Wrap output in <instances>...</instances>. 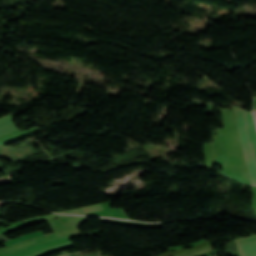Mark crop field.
<instances>
[{
	"label": "crop field",
	"mask_w": 256,
	"mask_h": 256,
	"mask_svg": "<svg viewBox=\"0 0 256 256\" xmlns=\"http://www.w3.org/2000/svg\"><path fill=\"white\" fill-rule=\"evenodd\" d=\"M246 256H256V236L242 239Z\"/></svg>",
	"instance_id": "5"
},
{
	"label": "crop field",
	"mask_w": 256,
	"mask_h": 256,
	"mask_svg": "<svg viewBox=\"0 0 256 256\" xmlns=\"http://www.w3.org/2000/svg\"><path fill=\"white\" fill-rule=\"evenodd\" d=\"M211 245L209 241L204 242L194 248H190V249H181V250H176V251H172L170 253L167 254H163V255H159V256H175V255H179V254H183V253H188V252H193V251H197L201 248L207 247Z\"/></svg>",
	"instance_id": "6"
},
{
	"label": "crop field",
	"mask_w": 256,
	"mask_h": 256,
	"mask_svg": "<svg viewBox=\"0 0 256 256\" xmlns=\"http://www.w3.org/2000/svg\"><path fill=\"white\" fill-rule=\"evenodd\" d=\"M59 237H61V235L59 234V232H56V233H53V234H49V235H45V236L38 237V238H35V239H31V240H28L24 243L16 244V245L10 246L8 248L1 249L0 250V256L13 254V253L21 251L25 248H28L32 245L42 243V242H45L47 240L59 238Z\"/></svg>",
	"instance_id": "2"
},
{
	"label": "crop field",
	"mask_w": 256,
	"mask_h": 256,
	"mask_svg": "<svg viewBox=\"0 0 256 256\" xmlns=\"http://www.w3.org/2000/svg\"><path fill=\"white\" fill-rule=\"evenodd\" d=\"M100 209H102L101 204L94 205V206H89V207H85V208H81V209H77V210L66 211V212H62V213L80 214V213H85V212H90V211H95V210H100Z\"/></svg>",
	"instance_id": "8"
},
{
	"label": "crop field",
	"mask_w": 256,
	"mask_h": 256,
	"mask_svg": "<svg viewBox=\"0 0 256 256\" xmlns=\"http://www.w3.org/2000/svg\"><path fill=\"white\" fill-rule=\"evenodd\" d=\"M246 114V122H247V129H248V134H249V138L253 147V151L256 157V127H255V123L253 120V116L247 112H245Z\"/></svg>",
	"instance_id": "4"
},
{
	"label": "crop field",
	"mask_w": 256,
	"mask_h": 256,
	"mask_svg": "<svg viewBox=\"0 0 256 256\" xmlns=\"http://www.w3.org/2000/svg\"><path fill=\"white\" fill-rule=\"evenodd\" d=\"M254 115H255V120H256V111H254Z\"/></svg>",
	"instance_id": "10"
},
{
	"label": "crop field",
	"mask_w": 256,
	"mask_h": 256,
	"mask_svg": "<svg viewBox=\"0 0 256 256\" xmlns=\"http://www.w3.org/2000/svg\"><path fill=\"white\" fill-rule=\"evenodd\" d=\"M235 118L237 121L238 129H239V135H240V141L241 145L245 154L250 178H251V184L256 185V161L253 155V151L251 149L250 141L247 134L246 129V122H245V114L243 110L233 108Z\"/></svg>",
	"instance_id": "1"
},
{
	"label": "crop field",
	"mask_w": 256,
	"mask_h": 256,
	"mask_svg": "<svg viewBox=\"0 0 256 256\" xmlns=\"http://www.w3.org/2000/svg\"><path fill=\"white\" fill-rule=\"evenodd\" d=\"M58 217H64L62 215H57V214H52V215H46V216H41V217H36V218H32V219H28V220H24L25 222L22 223H18L15 224L11 227H8L6 229H3L5 232L9 233L12 232L18 228H21L23 226L38 222V221H42V220H46V219H51V218H58Z\"/></svg>",
	"instance_id": "3"
},
{
	"label": "crop field",
	"mask_w": 256,
	"mask_h": 256,
	"mask_svg": "<svg viewBox=\"0 0 256 256\" xmlns=\"http://www.w3.org/2000/svg\"><path fill=\"white\" fill-rule=\"evenodd\" d=\"M216 253H217V250H215V251H213L211 253H207V254L201 255V256H212V255H214Z\"/></svg>",
	"instance_id": "9"
},
{
	"label": "crop field",
	"mask_w": 256,
	"mask_h": 256,
	"mask_svg": "<svg viewBox=\"0 0 256 256\" xmlns=\"http://www.w3.org/2000/svg\"><path fill=\"white\" fill-rule=\"evenodd\" d=\"M38 236H42L41 231L35 232V233H32V234H29V235H25V236H22V237H19V238L10 240V241H7V242H5L4 244H5L6 246H9V245L15 244V243H17V242L24 241V240H28V239H31V238H35V237H38Z\"/></svg>",
	"instance_id": "7"
}]
</instances>
